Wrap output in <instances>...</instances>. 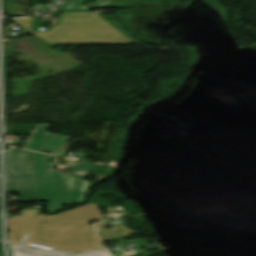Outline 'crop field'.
<instances>
[{
  "instance_id": "1",
  "label": "crop field",
  "mask_w": 256,
  "mask_h": 256,
  "mask_svg": "<svg viewBox=\"0 0 256 256\" xmlns=\"http://www.w3.org/2000/svg\"><path fill=\"white\" fill-rule=\"evenodd\" d=\"M55 165L54 157L10 148L6 153L7 192L19 193L20 201H46L48 211L83 200L89 183L80 180L84 175L54 171Z\"/></svg>"
},
{
  "instance_id": "2",
  "label": "crop field",
  "mask_w": 256,
  "mask_h": 256,
  "mask_svg": "<svg viewBox=\"0 0 256 256\" xmlns=\"http://www.w3.org/2000/svg\"><path fill=\"white\" fill-rule=\"evenodd\" d=\"M102 220L97 205L64 211L53 216L34 217L24 244L58 251H92L102 249L92 228L91 220Z\"/></svg>"
},
{
  "instance_id": "3",
  "label": "crop field",
  "mask_w": 256,
  "mask_h": 256,
  "mask_svg": "<svg viewBox=\"0 0 256 256\" xmlns=\"http://www.w3.org/2000/svg\"><path fill=\"white\" fill-rule=\"evenodd\" d=\"M48 124H36L23 148L43 152L44 150L57 155L63 148L69 137L46 133Z\"/></svg>"
},
{
  "instance_id": "4",
  "label": "crop field",
  "mask_w": 256,
  "mask_h": 256,
  "mask_svg": "<svg viewBox=\"0 0 256 256\" xmlns=\"http://www.w3.org/2000/svg\"><path fill=\"white\" fill-rule=\"evenodd\" d=\"M12 256H112L109 250L81 254H61L10 244Z\"/></svg>"
},
{
  "instance_id": "5",
  "label": "crop field",
  "mask_w": 256,
  "mask_h": 256,
  "mask_svg": "<svg viewBox=\"0 0 256 256\" xmlns=\"http://www.w3.org/2000/svg\"><path fill=\"white\" fill-rule=\"evenodd\" d=\"M40 209H22L19 217H8V230L27 233L32 219Z\"/></svg>"
},
{
  "instance_id": "6",
  "label": "crop field",
  "mask_w": 256,
  "mask_h": 256,
  "mask_svg": "<svg viewBox=\"0 0 256 256\" xmlns=\"http://www.w3.org/2000/svg\"><path fill=\"white\" fill-rule=\"evenodd\" d=\"M109 225H107L106 222L104 221V222L99 223L98 225L94 226L101 241L127 238V237H129L128 233H136V232L128 229L124 225L115 226L111 229L105 230L104 227L109 226Z\"/></svg>"
},
{
  "instance_id": "7",
  "label": "crop field",
  "mask_w": 256,
  "mask_h": 256,
  "mask_svg": "<svg viewBox=\"0 0 256 256\" xmlns=\"http://www.w3.org/2000/svg\"><path fill=\"white\" fill-rule=\"evenodd\" d=\"M84 0H70L63 2V9H85V8H104L109 0H96L93 5L81 6Z\"/></svg>"
},
{
  "instance_id": "8",
  "label": "crop field",
  "mask_w": 256,
  "mask_h": 256,
  "mask_svg": "<svg viewBox=\"0 0 256 256\" xmlns=\"http://www.w3.org/2000/svg\"><path fill=\"white\" fill-rule=\"evenodd\" d=\"M25 236H26V234L13 232V231H9V233H8L9 241H14V242H18V243H23L25 240Z\"/></svg>"
},
{
  "instance_id": "9",
  "label": "crop field",
  "mask_w": 256,
  "mask_h": 256,
  "mask_svg": "<svg viewBox=\"0 0 256 256\" xmlns=\"http://www.w3.org/2000/svg\"><path fill=\"white\" fill-rule=\"evenodd\" d=\"M91 169V165L89 164H79L73 167V171L87 174Z\"/></svg>"
},
{
  "instance_id": "10",
  "label": "crop field",
  "mask_w": 256,
  "mask_h": 256,
  "mask_svg": "<svg viewBox=\"0 0 256 256\" xmlns=\"http://www.w3.org/2000/svg\"><path fill=\"white\" fill-rule=\"evenodd\" d=\"M128 1H131V0H111V1H109V3L106 5L105 8L115 7L121 3L128 2Z\"/></svg>"
}]
</instances>
